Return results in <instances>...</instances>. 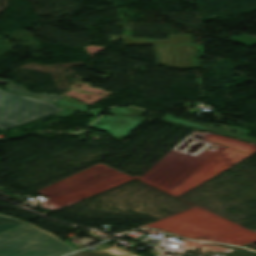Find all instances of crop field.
<instances>
[{"label":"crop field","mask_w":256,"mask_h":256,"mask_svg":"<svg viewBox=\"0 0 256 256\" xmlns=\"http://www.w3.org/2000/svg\"><path fill=\"white\" fill-rule=\"evenodd\" d=\"M74 250L77 249L30 223L0 233V256H61Z\"/></svg>","instance_id":"8a807250"},{"label":"crop field","mask_w":256,"mask_h":256,"mask_svg":"<svg viewBox=\"0 0 256 256\" xmlns=\"http://www.w3.org/2000/svg\"><path fill=\"white\" fill-rule=\"evenodd\" d=\"M61 110L49 102L0 91V129L3 131Z\"/></svg>","instance_id":"ac0d7876"},{"label":"crop field","mask_w":256,"mask_h":256,"mask_svg":"<svg viewBox=\"0 0 256 256\" xmlns=\"http://www.w3.org/2000/svg\"><path fill=\"white\" fill-rule=\"evenodd\" d=\"M159 65L173 68H191L198 66L196 49L194 45L155 46Z\"/></svg>","instance_id":"34b2d1b8"},{"label":"crop field","mask_w":256,"mask_h":256,"mask_svg":"<svg viewBox=\"0 0 256 256\" xmlns=\"http://www.w3.org/2000/svg\"><path fill=\"white\" fill-rule=\"evenodd\" d=\"M0 82L10 84L7 88L8 91L16 92V93H19V94H23V95H27V96H31V97H35V98H39V99H43V100H47V101H51V102H56L58 99L64 97V96H60V95H56V94H52V95H48L46 93L34 94V93L28 92L27 90L23 89L22 86L17 85L15 83L11 82V81L0 80Z\"/></svg>","instance_id":"412701ff"},{"label":"crop field","mask_w":256,"mask_h":256,"mask_svg":"<svg viewBox=\"0 0 256 256\" xmlns=\"http://www.w3.org/2000/svg\"><path fill=\"white\" fill-rule=\"evenodd\" d=\"M165 120H169V121H173V122H176V123H180V124H184V125H188V126H192V127H196V128H201V129H205V130H209V131H213V132L233 136V137L238 138V139L248 140V141H252V142L256 143V139H253V138H250V137H247V136H243V135L232 133V132H227V131H222V130L206 127V126H203V125L195 124V123L188 122V121L181 120V119L172 118L169 115L167 117H165Z\"/></svg>","instance_id":"f4fd0767"},{"label":"crop field","mask_w":256,"mask_h":256,"mask_svg":"<svg viewBox=\"0 0 256 256\" xmlns=\"http://www.w3.org/2000/svg\"><path fill=\"white\" fill-rule=\"evenodd\" d=\"M56 103L60 107L69 108L72 110L79 109L81 111H87V107H88V104L78 102L75 99H73L72 97H67V96H65L61 100L57 101Z\"/></svg>","instance_id":"dd49c442"},{"label":"crop field","mask_w":256,"mask_h":256,"mask_svg":"<svg viewBox=\"0 0 256 256\" xmlns=\"http://www.w3.org/2000/svg\"><path fill=\"white\" fill-rule=\"evenodd\" d=\"M25 223L22 220L0 214V232Z\"/></svg>","instance_id":"e52e79f7"},{"label":"crop field","mask_w":256,"mask_h":256,"mask_svg":"<svg viewBox=\"0 0 256 256\" xmlns=\"http://www.w3.org/2000/svg\"><path fill=\"white\" fill-rule=\"evenodd\" d=\"M98 246L102 247L101 248L102 251L109 252V253L117 255V256H137V255H135L131 252L120 249L118 247L112 246V245L107 244V243L100 244Z\"/></svg>","instance_id":"d8731c3e"},{"label":"crop field","mask_w":256,"mask_h":256,"mask_svg":"<svg viewBox=\"0 0 256 256\" xmlns=\"http://www.w3.org/2000/svg\"><path fill=\"white\" fill-rule=\"evenodd\" d=\"M80 252V251H79ZM71 256H114L109 253L101 252V251H82L80 253L71 255Z\"/></svg>","instance_id":"5a996713"},{"label":"crop field","mask_w":256,"mask_h":256,"mask_svg":"<svg viewBox=\"0 0 256 256\" xmlns=\"http://www.w3.org/2000/svg\"><path fill=\"white\" fill-rule=\"evenodd\" d=\"M74 113H76V112H74V111H68V112H66V111H61V112H57V113H54V114L57 115V116H59V117L65 118V117H68V116H70V115H72V114H74Z\"/></svg>","instance_id":"3316defc"}]
</instances>
